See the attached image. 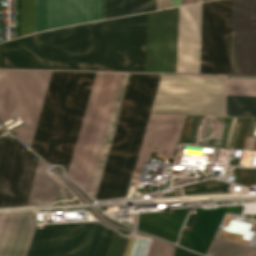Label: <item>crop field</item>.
<instances>
[{"label": "crop field", "instance_id": "4a817a6b", "mask_svg": "<svg viewBox=\"0 0 256 256\" xmlns=\"http://www.w3.org/2000/svg\"><path fill=\"white\" fill-rule=\"evenodd\" d=\"M174 247L153 237L147 256H173Z\"/></svg>", "mask_w": 256, "mask_h": 256}, {"label": "crop field", "instance_id": "dd49c442", "mask_svg": "<svg viewBox=\"0 0 256 256\" xmlns=\"http://www.w3.org/2000/svg\"><path fill=\"white\" fill-rule=\"evenodd\" d=\"M51 72L0 70V121L22 118L26 123L11 131L30 146Z\"/></svg>", "mask_w": 256, "mask_h": 256}, {"label": "crop field", "instance_id": "ac0d7876", "mask_svg": "<svg viewBox=\"0 0 256 256\" xmlns=\"http://www.w3.org/2000/svg\"><path fill=\"white\" fill-rule=\"evenodd\" d=\"M231 0L179 7L176 72L229 74ZM230 74L256 75V0H232Z\"/></svg>", "mask_w": 256, "mask_h": 256}, {"label": "crop field", "instance_id": "d1516ede", "mask_svg": "<svg viewBox=\"0 0 256 256\" xmlns=\"http://www.w3.org/2000/svg\"><path fill=\"white\" fill-rule=\"evenodd\" d=\"M227 95L256 96V78L227 79ZM226 97V115L256 116V97Z\"/></svg>", "mask_w": 256, "mask_h": 256}, {"label": "crop field", "instance_id": "733c2abd", "mask_svg": "<svg viewBox=\"0 0 256 256\" xmlns=\"http://www.w3.org/2000/svg\"><path fill=\"white\" fill-rule=\"evenodd\" d=\"M151 238L140 233L129 237L123 256H146Z\"/></svg>", "mask_w": 256, "mask_h": 256}, {"label": "crop field", "instance_id": "28ad6ade", "mask_svg": "<svg viewBox=\"0 0 256 256\" xmlns=\"http://www.w3.org/2000/svg\"><path fill=\"white\" fill-rule=\"evenodd\" d=\"M186 115L151 114L135 166L149 162L152 151L159 158L172 160ZM154 147H157L155 150ZM163 150H166L163 153Z\"/></svg>", "mask_w": 256, "mask_h": 256}, {"label": "crop field", "instance_id": "f4fd0767", "mask_svg": "<svg viewBox=\"0 0 256 256\" xmlns=\"http://www.w3.org/2000/svg\"><path fill=\"white\" fill-rule=\"evenodd\" d=\"M35 212L0 214V256H29ZM30 256H104L112 230L95 222L44 225Z\"/></svg>", "mask_w": 256, "mask_h": 256}, {"label": "crop field", "instance_id": "5a996713", "mask_svg": "<svg viewBox=\"0 0 256 256\" xmlns=\"http://www.w3.org/2000/svg\"><path fill=\"white\" fill-rule=\"evenodd\" d=\"M76 72L53 71L31 148L50 161Z\"/></svg>", "mask_w": 256, "mask_h": 256}, {"label": "crop field", "instance_id": "bc2a9ffb", "mask_svg": "<svg viewBox=\"0 0 256 256\" xmlns=\"http://www.w3.org/2000/svg\"><path fill=\"white\" fill-rule=\"evenodd\" d=\"M127 239L113 232L105 256H121Z\"/></svg>", "mask_w": 256, "mask_h": 256}, {"label": "crop field", "instance_id": "cbeb9de0", "mask_svg": "<svg viewBox=\"0 0 256 256\" xmlns=\"http://www.w3.org/2000/svg\"><path fill=\"white\" fill-rule=\"evenodd\" d=\"M30 36L2 43L1 68H29Z\"/></svg>", "mask_w": 256, "mask_h": 256}, {"label": "crop field", "instance_id": "d8731c3e", "mask_svg": "<svg viewBox=\"0 0 256 256\" xmlns=\"http://www.w3.org/2000/svg\"><path fill=\"white\" fill-rule=\"evenodd\" d=\"M36 156L13 138L0 142V207L25 205Z\"/></svg>", "mask_w": 256, "mask_h": 256}, {"label": "crop field", "instance_id": "5142ce71", "mask_svg": "<svg viewBox=\"0 0 256 256\" xmlns=\"http://www.w3.org/2000/svg\"><path fill=\"white\" fill-rule=\"evenodd\" d=\"M208 250L214 251L212 256H250L256 250L251 247L213 239Z\"/></svg>", "mask_w": 256, "mask_h": 256}, {"label": "crop field", "instance_id": "e52e79f7", "mask_svg": "<svg viewBox=\"0 0 256 256\" xmlns=\"http://www.w3.org/2000/svg\"><path fill=\"white\" fill-rule=\"evenodd\" d=\"M156 10V0H101V19ZM100 19V0H36V32Z\"/></svg>", "mask_w": 256, "mask_h": 256}, {"label": "crop field", "instance_id": "412701ff", "mask_svg": "<svg viewBox=\"0 0 256 256\" xmlns=\"http://www.w3.org/2000/svg\"><path fill=\"white\" fill-rule=\"evenodd\" d=\"M146 14L32 35L30 68L144 71Z\"/></svg>", "mask_w": 256, "mask_h": 256}, {"label": "crop field", "instance_id": "3316defc", "mask_svg": "<svg viewBox=\"0 0 256 256\" xmlns=\"http://www.w3.org/2000/svg\"><path fill=\"white\" fill-rule=\"evenodd\" d=\"M178 8L147 13L145 71L175 72Z\"/></svg>", "mask_w": 256, "mask_h": 256}, {"label": "crop field", "instance_id": "8a807250", "mask_svg": "<svg viewBox=\"0 0 256 256\" xmlns=\"http://www.w3.org/2000/svg\"><path fill=\"white\" fill-rule=\"evenodd\" d=\"M162 75L129 74L92 193L127 195ZM151 112L224 115V77L163 75Z\"/></svg>", "mask_w": 256, "mask_h": 256}, {"label": "crop field", "instance_id": "22f410ed", "mask_svg": "<svg viewBox=\"0 0 256 256\" xmlns=\"http://www.w3.org/2000/svg\"><path fill=\"white\" fill-rule=\"evenodd\" d=\"M58 184L59 181L46 172V165L38 160L27 205L55 201Z\"/></svg>", "mask_w": 256, "mask_h": 256}, {"label": "crop field", "instance_id": "214f88e0", "mask_svg": "<svg viewBox=\"0 0 256 256\" xmlns=\"http://www.w3.org/2000/svg\"><path fill=\"white\" fill-rule=\"evenodd\" d=\"M190 3H193V0H157V9Z\"/></svg>", "mask_w": 256, "mask_h": 256}, {"label": "crop field", "instance_id": "d9b57169", "mask_svg": "<svg viewBox=\"0 0 256 256\" xmlns=\"http://www.w3.org/2000/svg\"><path fill=\"white\" fill-rule=\"evenodd\" d=\"M35 32V0H21V36Z\"/></svg>", "mask_w": 256, "mask_h": 256}, {"label": "crop field", "instance_id": "92a150f3", "mask_svg": "<svg viewBox=\"0 0 256 256\" xmlns=\"http://www.w3.org/2000/svg\"><path fill=\"white\" fill-rule=\"evenodd\" d=\"M199 1H204V0H194V2H199ZM206 1V0H205Z\"/></svg>", "mask_w": 256, "mask_h": 256}, {"label": "crop field", "instance_id": "34b2d1b8", "mask_svg": "<svg viewBox=\"0 0 256 256\" xmlns=\"http://www.w3.org/2000/svg\"><path fill=\"white\" fill-rule=\"evenodd\" d=\"M95 73L77 72L50 165L66 176ZM126 73H96L67 176L92 191Z\"/></svg>", "mask_w": 256, "mask_h": 256}]
</instances>
